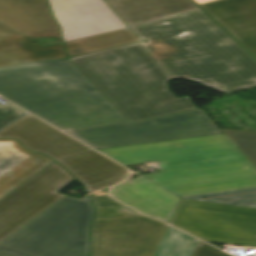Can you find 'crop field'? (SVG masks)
Segmentation results:
<instances>
[{
  "instance_id": "obj_1",
  "label": "crop field",
  "mask_w": 256,
  "mask_h": 256,
  "mask_svg": "<svg viewBox=\"0 0 256 256\" xmlns=\"http://www.w3.org/2000/svg\"><path fill=\"white\" fill-rule=\"evenodd\" d=\"M131 29L148 42L70 59L130 123L196 108L170 78L227 94L256 87V60L200 9Z\"/></svg>"
},
{
  "instance_id": "obj_2",
  "label": "crop field",
  "mask_w": 256,
  "mask_h": 256,
  "mask_svg": "<svg viewBox=\"0 0 256 256\" xmlns=\"http://www.w3.org/2000/svg\"><path fill=\"white\" fill-rule=\"evenodd\" d=\"M0 95L64 131L129 123L68 58L0 68Z\"/></svg>"
},
{
  "instance_id": "obj_3",
  "label": "crop field",
  "mask_w": 256,
  "mask_h": 256,
  "mask_svg": "<svg viewBox=\"0 0 256 256\" xmlns=\"http://www.w3.org/2000/svg\"><path fill=\"white\" fill-rule=\"evenodd\" d=\"M99 151L126 167L158 161L159 173L143 175L149 180L253 165L225 134Z\"/></svg>"
},
{
  "instance_id": "obj_4",
  "label": "crop field",
  "mask_w": 256,
  "mask_h": 256,
  "mask_svg": "<svg viewBox=\"0 0 256 256\" xmlns=\"http://www.w3.org/2000/svg\"><path fill=\"white\" fill-rule=\"evenodd\" d=\"M90 199L64 196L0 243V256H88Z\"/></svg>"
},
{
  "instance_id": "obj_5",
  "label": "crop field",
  "mask_w": 256,
  "mask_h": 256,
  "mask_svg": "<svg viewBox=\"0 0 256 256\" xmlns=\"http://www.w3.org/2000/svg\"><path fill=\"white\" fill-rule=\"evenodd\" d=\"M65 135L28 113L0 132V138H16L27 149L57 160L87 192L127 178L124 167Z\"/></svg>"
},
{
  "instance_id": "obj_6",
  "label": "crop field",
  "mask_w": 256,
  "mask_h": 256,
  "mask_svg": "<svg viewBox=\"0 0 256 256\" xmlns=\"http://www.w3.org/2000/svg\"><path fill=\"white\" fill-rule=\"evenodd\" d=\"M199 240L142 215L95 219L91 256H191Z\"/></svg>"
},
{
  "instance_id": "obj_7",
  "label": "crop field",
  "mask_w": 256,
  "mask_h": 256,
  "mask_svg": "<svg viewBox=\"0 0 256 256\" xmlns=\"http://www.w3.org/2000/svg\"><path fill=\"white\" fill-rule=\"evenodd\" d=\"M67 133L99 149L221 134L224 132L198 108L133 124L78 130Z\"/></svg>"
},
{
  "instance_id": "obj_8",
  "label": "crop field",
  "mask_w": 256,
  "mask_h": 256,
  "mask_svg": "<svg viewBox=\"0 0 256 256\" xmlns=\"http://www.w3.org/2000/svg\"><path fill=\"white\" fill-rule=\"evenodd\" d=\"M169 223L205 241L256 247V208L182 198Z\"/></svg>"
},
{
  "instance_id": "obj_9",
  "label": "crop field",
  "mask_w": 256,
  "mask_h": 256,
  "mask_svg": "<svg viewBox=\"0 0 256 256\" xmlns=\"http://www.w3.org/2000/svg\"><path fill=\"white\" fill-rule=\"evenodd\" d=\"M73 180L54 163L0 200V242L64 196L56 192Z\"/></svg>"
},
{
  "instance_id": "obj_10",
  "label": "crop field",
  "mask_w": 256,
  "mask_h": 256,
  "mask_svg": "<svg viewBox=\"0 0 256 256\" xmlns=\"http://www.w3.org/2000/svg\"><path fill=\"white\" fill-rule=\"evenodd\" d=\"M49 3L65 42L125 27L103 0H49Z\"/></svg>"
},
{
  "instance_id": "obj_11",
  "label": "crop field",
  "mask_w": 256,
  "mask_h": 256,
  "mask_svg": "<svg viewBox=\"0 0 256 256\" xmlns=\"http://www.w3.org/2000/svg\"><path fill=\"white\" fill-rule=\"evenodd\" d=\"M0 22L42 46L62 42L46 0H0Z\"/></svg>"
},
{
  "instance_id": "obj_12",
  "label": "crop field",
  "mask_w": 256,
  "mask_h": 256,
  "mask_svg": "<svg viewBox=\"0 0 256 256\" xmlns=\"http://www.w3.org/2000/svg\"><path fill=\"white\" fill-rule=\"evenodd\" d=\"M155 184L180 197L185 195L256 187V167H244L160 180Z\"/></svg>"
},
{
  "instance_id": "obj_13",
  "label": "crop field",
  "mask_w": 256,
  "mask_h": 256,
  "mask_svg": "<svg viewBox=\"0 0 256 256\" xmlns=\"http://www.w3.org/2000/svg\"><path fill=\"white\" fill-rule=\"evenodd\" d=\"M153 183L141 176L112 188L111 194L145 215L170 221L181 198Z\"/></svg>"
},
{
  "instance_id": "obj_14",
  "label": "crop field",
  "mask_w": 256,
  "mask_h": 256,
  "mask_svg": "<svg viewBox=\"0 0 256 256\" xmlns=\"http://www.w3.org/2000/svg\"><path fill=\"white\" fill-rule=\"evenodd\" d=\"M200 7L256 57V0H219Z\"/></svg>"
},
{
  "instance_id": "obj_15",
  "label": "crop field",
  "mask_w": 256,
  "mask_h": 256,
  "mask_svg": "<svg viewBox=\"0 0 256 256\" xmlns=\"http://www.w3.org/2000/svg\"><path fill=\"white\" fill-rule=\"evenodd\" d=\"M52 163L24 150L15 140H0V199Z\"/></svg>"
},
{
  "instance_id": "obj_16",
  "label": "crop field",
  "mask_w": 256,
  "mask_h": 256,
  "mask_svg": "<svg viewBox=\"0 0 256 256\" xmlns=\"http://www.w3.org/2000/svg\"><path fill=\"white\" fill-rule=\"evenodd\" d=\"M63 57H67L63 43L42 47L0 24V67Z\"/></svg>"
},
{
  "instance_id": "obj_17",
  "label": "crop field",
  "mask_w": 256,
  "mask_h": 256,
  "mask_svg": "<svg viewBox=\"0 0 256 256\" xmlns=\"http://www.w3.org/2000/svg\"><path fill=\"white\" fill-rule=\"evenodd\" d=\"M129 27L197 9L189 0H106Z\"/></svg>"
},
{
  "instance_id": "obj_18",
  "label": "crop field",
  "mask_w": 256,
  "mask_h": 256,
  "mask_svg": "<svg viewBox=\"0 0 256 256\" xmlns=\"http://www.w3.org/2000/svg\"><path fill=\"white\" fill-rule=\"evenodd\" d=\"M139 41L128 29H120L96 36H91L71 42H67L68 56L85 54L113 46Z\"/></svg>"
},
{
  "instance_id": "obj_19",
  "label": "crop field",
  "mask_w": 256,
  "mask_h": 256,
  "mask_svg": "<svg viewBox=\"0 0 256 256\" xmlns=\"http://www.w3.org/2000/svg\"><path fill=\"white\" fill-rule=\"evenodd\" d=\"M201 197H205L202 199ZM184 198L199 199L227 204L256 207V188L239 189L227 192L185 196Z\"/></svg>"
},
{
  "instance_id": "obj_20",
  "label": "crop field",
  "mask_w": 256,
  "mask_h": 256,
  "mask_svg": "<svg viewBox=\"0 0 256 256\" xmlns=\"http://www.w3.org/2000/svg\"><path fill=\"white\" fill-rule=\"evenodd\" d=\"M231 141L256 166V133L222 130Z\"/></svg>"
},
{
  "instance_id": "obj_21",
  "label": "crop field",
  "mask_w": 256,
  "mask_h": 256,
  "mask_svg": "<svg viewBox=\"0 0 256 256\" xmlns=\"http://www.w3.org/2000/svg\"><path fill=\"white\" fill-rule=\"evenodd\" d=\"M23 113L24 111L20 110L19 108L15 107L10 103L0 107V128H2L4 125H6Z\"/></svg>"
},
{
  "instance_id": "obj_22",
  "label": "crop field",
  "mask_w": 256,
  "mask_h": 256,
  "mask_svg": "<svg viewBox=\"0 0 256 256\" xmlns=\"http://www.w3.org/2000/svg\"><path fill=\"white\" fill-rule=\"evenodd\" d=\"M96 210L97 213L95 218L136 215L135 213L129 211V208L125 206L103 207L96 208Z\"/></svg>"
},
{
  "instance_id": "obj_23",
  "label": "crop field",
  "mask_w": 256,
  "mask_h": 256,
  "mask_svg": "<svg viewBox=\"0 0 256 256\" xmlns=\"http://www.w3.org/2000/svg\"><path fill=\"white\" fill-rule=\"evenodd\" d=\"M192 256H230L199 241Z\"/></svg>"
},
{
  "instance_id": "obj_24",
  "label": "crop field",
  "mask_w": 256,
  "mask_h": 256,
  "mask_svg": "<svg viewBox=\"0 0 256 256\" xmlns=\"http://www.w3.org/2000/svg\"><path fill=\"white\" fill-rule=\"evenodd\" d=\"M91 198L93 199L96 207L122 205L107 195L95 196V197H91Z\"/></svg>"
},
{
  "instance_id": "obj_25",
  "label": "crop field",
  "mask_w": 256,
  "mask_h": 256,
  "mask_svg": "<svg viewBox=\"0 0 256 256\" xmlns=\"http://www.w3.org/2000/svg\"><path fill=\"white\" fill-rule=\"evenodd\" d=\"M197 5L200 4H204V3H208V2H212V1H216V0H193Z\"/></svg>"
},
{
  "instance_id": "obj_26",
  "label": "crop field",
  "mask_w": 256,
  "mask_h": 256,
  "mask_svg": "<svg viewBox=\"0 0 256 256\" xmlns=\"http://www.w3.org/2000/svg\"><path fill=\"white\" fill-rule=\"evenodd\" d=\"M136 176H137V175H135V174H132V176H131L130 178H134V177H136ZM130 178H129V179H130Z\"/></svg>"
}]
</instances>
